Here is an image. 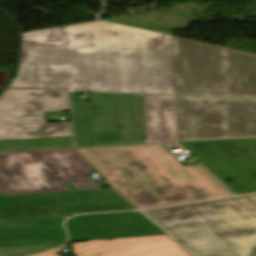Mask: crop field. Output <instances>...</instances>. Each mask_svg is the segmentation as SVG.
<instances>
[{"instance_id":"1","label":"crop field","mask_w":256,"mask_h":256,"mask_svg":"<svg viewBox=\"0 0 256 256\" xmlns=\"http://www.w3.org/2000/svg\"><path fill=\"white\" fill-rule=\"evenodd\" d=\"M8 87L174 94L171 36L103 21L24 33Z\"/></svg>"},{"instance_id":"2","label":"crop field","mask_w":256,"mask_h":256,"mask_svg":"<svg viewBox=\"0 0 256 256\" xmlns=\"http://www.w3.org/2000/svg\"><path fill=\"white\" fill-rule=\"evenodd\" d=\"M77 150L137 209L232 195L199 164L183 167L160 144Z\"/></svg>"},{"instance_id":"3","label":"crop field","mask_w":256,"mask_h":256,"mask_svg":"<svg viewBox=\"0 0 256 256\" xmlns=\"http://www.w3.org/2000/svg\"><path fill=\"white\" fill-rule=\"evenodd\" d=\"M141 213L192 256H256V194Z\"/></svg>"},{"instance_id":"4","label":"crop field","mask_w":256,"mask_h":256,"mask_svg":"<svg viewBox=\"0 0 256 256\" xmlns=\"http://www.w3.org/2000/svg\"><path fill=\"white\" fill-rule=\"evenodd\" d=\"M72 101L80 146L177 141L174 96L90 92Z\"/></svg>"},{"instance_id":"5","label":"crop field","mask_w":256,"mask_h":256,"mask_svg":"<svg viewBox=\"0 0 256 256\" xmlns=\"http://www.w3.org/2000/svg\"><path fill=\"white\" fill-rule=\"evenodd\" d=\"M175 94L256 98V55L172 36Z\"/></svg>"},{"instance_id":"6","label":"crop field","mask_w":256,"mask_h":256,"mask_svg":"<svg viewBox=\"0 0 256 256\" xmlns=\"http://www.w3.org/2000/svg\"><path fill=\"white\" fill-rule=\"evenodd\" d=\"M95 172L74 149L0 152V190L4 195L99 188L86 176Z\"/></svg>"},{"instance_id":"7","label":"crop field","mask_w":256,"mask_h":256,"mask_svg":"<svg viewBox=\"0 0 256 256\" xmlns=\"http://www.w3.org/2000/svg\"><path fill=\"white\" fill-rule=\"evenodd\" d=\"M178 141L256 138V100L175 96Z\"/></svg>"},{"instance_id":"8","label":"crop field","mask_w":256,"mask_h":256,"mask_svg":"<svg viewBox=\"0 0 256 256\" xmlns=\"http://www.w3.org/2000/svg\"><path fill=\"white\" fill-rule=\"evenodd\" d=\"M70 111L67 91L7 89L0 96V140L71 136L70 122L45 124L43 112Z\"/></svg>"},{"instance_id":"9","label":"crop field","mask_w":256,"mask_h":256,"mask_svg":"<svg viewBox=\"0 0 256 256\" xmlns=\"http://www.w3.org/2000/svg\"><path fill=\"white\" fill-rule=\"evenodd\" d=\"M134 209L111 189L0 196V219Z\"/></svg>"},{"instance_id":"10","label":"crop field","mask_w":256,"mask_h":256,"mask_svg":"<svg viewBox=\"0 0 256 256\" xmlns=\"http://www.w3.org/2000/svg\"><path fill=\"white\" fill-rule=\"evenodd\" d=\"M66 226L71 241L164 234L138 212L77 216Z\"/></svg>"},{"instance_id":"11","label":"crop field","mask_w":256,"mask_h":256,"mask_svg":"<svg viewBox=\"0 0 256 256\" xmlns=\"http://www.w3.org/2000/svg\"><path fill=\"white\" fill-rule=\"evenodd\" d=\"M77 256H190L167 235L72 244Z\"/></svg>"},{"instance_id":"12","label":"crop field","mask_w":256,"mask_h":256,"mask_svg":"<svg viewBox=\"0 0 256 256\" xmlns=\"http://www.w3.org/2000/svg\"><path fill=\"white\" fill-rule=\"evenodd\" d=\"M61 217L0 221V247L65 242Z\"/></svg>"},{"instance_id":"13","label":"crop field","mask_w":256,"mask_h":256,"mask_svg":"<svg viewBox=\"0 0 256 256\" xmlns=\"http://www.w3.org/2000/svg\"><path fill=\"white\" fill-rule=\"evenodd\" d=\"M71 147V139L0 142V151Z\"/></svg>"},{"instance_id":"14","label":"crop field","mask_w":256,"mask_h":256,"mask_svg":"<svg viewBox=\"0 0 256 256\" xmlns=\"http://www.w3.org/2000/svg\"><path fill=\"white\" fill-rule=\"evenodd\" d=\"M63 243L58 244H44V245H30V246H15V247H1L0 256H25L47 249L55 248Z\"/></svg>"},{"instance_id":"15","label":"crop field","mask_w":256,"mask_h":256,"mask_svg":"<svg viewBox=\"0 0 256 256\" xmlns=\"http://www.w3.org/2000/svg\"><path fill=\"white\" fill-rule=\"evenodd\" d=\"M61 249H64V247L58 248V249H54V250H50V251H47V252H43V253H40V254H36V255H33V256H59L56 253L58 251H60Z\"/></svg>"},{"instance_id":"16","label":"crop field","mask_w":256,"mask_h":256,"mask_svg":"<svg viewBox=\"0 0 256 256\" xmlns=\"http://www.w3.org/2000/svg\"><path fill=\"white\" fill-rule=\"evenodd\" d=\"M245 140L256 149V139H245Z\"/></svg>"},{"instance_id":"17","label":"crop field","mask_w":256,"mask_h":256,"mask_svg":"<svg viewBox=\"0 0 256 256\" xmlns=\"http://www.w3.org/2000/svg\"><path fill=\"white\" fill-rule=\"evenodd\" d=\"M0 195H3V194L0 192Z\"/></svg>"}]
</instances>
